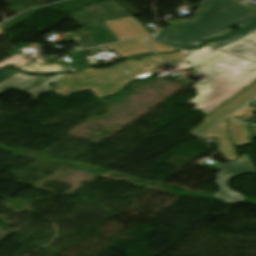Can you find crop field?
I'll use <instances>...</instances> for the list:
<instances>
[{
	"label": "crop field",
	"instance_id": "3",
	"mask_svg": "<svg viewBox=\"0 0 256 256\" xmlns=\"http://www.w3.org/2000/svg\"><path fill=\"white\" fill-rule=\"evenodd\" d=\"M140 60L139 62L125 60L106 69L89 68L81 72L67 74L53 92L64 97L86 90H90L97 98L115 95L131 81L155 75L152 69L165 61L157 55ZM146 65L150 68H146ZM125 70H128L129 73L123 72Z\"/></svg>",
	"mask_w": 256,
	"mask_h": 256
},
{
	"label": "crop field",
	"instance_id": "17",
	"mask_svg": "<svg viewBox=\"0 0 256 256\" xmlns=\"http://www.w3.org/2000/svg\"><path fill=\"white\" fill-rule=\"evenodd\" d=\"M163 57H166V58H170L172 60H175L177 62L181 61L182 59L186 58L188 55L186 54H183L181 52H176L174 54H167V55H163V54H159Z\"/></svg>",
	"mask_w": 256,
	"mask_h": 256
},
{
	"label": "crop field",
	"instance_id": "20",
	"mask_svg": "<svg viewBox=\"0 0 256 256\" xmlns=\"http://www.w3.org/2000/svg\"><path fill=\"white\" fill-rule=\"evenodd\" d=\"M3 33H4L3 30L0 28V35H3Z\"/></svg>",
	"mask_w": 256,
	"mask_h": 256
},
{
	"label": "crop field",
	"instance_id": "18",
	"mask_svg": "<svg viewBox=\"0 0 256 256\" xmlns=\"http://www.w3.org/2000/svg\"><path fill=\"white\" fill-rule=\"evenodd\" d=\"M16 72L17 71H12V70H0V81L4 80L5 78L11 76Z\"/></svg>",
	"mask_w": 256,
	"mask_h": 256
},
{
	"label": "crop field",
	"instance_id": "7",
	"mask_svg": "<svg viewBox=\"0 0 256 256\" xmlns=\"http://www.w3.org/2000/svg\"><path fill=\"white\" fill-rule=\"evenodd\" d=\"M62 75L63 74H58L54 77H41L39 80L35 81L39 77H34L18 72L11 77L5 79L4 81L0 82V93L10 88L25 91L26 89L36 85L37 83L49 78L48 80L38 84L37 86L25 91L33 94L32 98L37 99V97L40 96L42 93L51 89V87L47 84L48 82H56L60 79Z\"/></svg>",
	"mask_w": 256,
	"mask_h": 256
},
{
	"label": "crop field",
	"instance_id": "2",
	"mask_svg": "<svg viewBox=\"0 0 256 256\" xmlns=\"http://www.w3.org/2000/svg\"><path fill=\"white\" fill-rule=\"evenodd\" d=\"M190 68L209 75L192 86L199 95L188 102L204 113L202 116L256 81V63L221 51Z\"/></svg>",
	"mask_w": 256,
	"mask_h": 256
},
{
	"label": "crop field",
	"instance_id": "13",
	"mask_svg": "<svg viewBox=\"0 0 256 256\" xmlns=\"http://www.w3.org/2000/svg\"><path fill=\"white\" fill-rule=\"evenodd\" d=\"M253 32H256V25L254 26H251V27H248V28H245V30L242 32V31H238V32H235V33H232V34H229L217 41H214V42H210L208 43L207 45L208 46H212V47H215L217 49H220L240 38H243Z\"/></svg>",
	"mask_w": 256,
	"mask_h": 256
},
{
	"label": "crop field",
	"instance_id": "19",
	"mask_svg": "<svg viewBox=\"0 0 256 256\" xmlns=\"http://www.w3.org/2000/svg\"><path fill=\"white\" fill-rule=\"evenodd\" d=\"M196 51H197V49H191V50H183V51H181V52L190 55V54H192V53H194V52H196Z\"/></svg>",
	"mask_w": 256,
	"mask_h": 256
},
{
	"label": "crop field",
	"instance_id": "12",
	"mask_svg": "<svg viewBox=\"0 0 256 256\" xmlns=\"http://www.w3.org/2000/svg\"><path fill=\"white\" fill-rule=\"evenodd\" d=\"M228 127L231 139L236 146L250 144L248 125L236 119L230 118L228 120Z\"/></svg>",
	"mask_w": 256,
	"mask_h": 256
},
{
	"label": "crop field",
	"instance_id": "14",
	"mask_svg": "<svg viewBox=\"0 0 256 256\" xmlns=\"http://www.w3.org/2000/svg\"><path fill=\"white\" fill-rule=\"evenodd\" d=\"M28 67H23L19 70L21 71H25V72H33L36 73L38 75H46L50 72H60L63 71L62 67L60 65H48V66H40L37 63L33 62L29 65H27ZM58 67V68H56Z\"/></svg>",
	"mask_w": 256,
	"mask_h": 256
},
{
	"label": "crop field",
	"instance_id": "6",
	"mask_svg": "<svg viewBox=\"0 0 256 256\" xmlns=\"http://www.w3.org/2000/svg\"><path fill=\"white\" fill-rule=\"evenodd\" d=\"M256 97V82L223 103L221 106L204 116V120L187 134L198 136L240 108L242 105Z\"/></svg>",
	"mask_w": 256,
	"mask_h": 256
},
{
	"label": "crop field",
	"instance_id": "15",
	"mask_svg": "<svg viewBox=\"0 0 256 256\" xmlns=\"http://www.w3.org/2000/svg\"><path fill=\"white\" fill-rule=\"evenodd\" d=\"M211 48L212 47L205 46L179 63L182 64L183 66H189L193 64L195 61H197L199 58L211 53L209 51Z\"/></svg>",
	"mask_w": 256,
	"mask_h": 256
},
{
	"label": "crop field",
	"instance_id": "16",
	"mask_svg": "<svg viewBox=\"0 0 256 256\" xmlns=\"http://www.w3.org/2000/svg\"><path fill=\"white\" fill-rule=\"evenodd\" d=\"M148 43L150 45V47L155 51V52H167V51H172L175 50L155 39L150 38L148 40ZM176 51V50H175ZM173 52V51H172Z\"/></svg>",
	"mask_w": 256,
	"mask_h": 256
},
{
	"label": "crop field",
	"instance_id": "4",
	"mask_svg": "<svg viewBox=\"0 0 256 256\" xmlns=\"http://www.w3.org/2000/svg\"><path fill=\"white\" fill-rule=\"evenodd\" d=\"M129 16L131 15L113 0L88 6L69 17L83 27L82 31L72 37L80 49L118 42L117 37L102 21Z\"/></svg>",
	"mask_w": 256,
	"mask_h": 256
},
{
	"label": "crop field",
	"instance_id": "9",
	"mask_svg": "<svg viewBox=\"0 0 256 256\" xmlns=\"http://www.w3.org/2000/svg\"><path fill=\"white\" fill-rule=\"evenodd\" d=\"M213 136H216L221 141L218 146V153L224 155L231 162L238 158L234 146L228 138L225 121L205 135L207 138Z\"/></svg>",
	"mask_w": 256,
	"mask_h": 256
},
{
	"label": "crop field",
	"instance_id": "1",
	"mask_svg": "<svg viewBox=\"0 0 256 256\" xmlns=\"http://www.w3.org/2000/svg\"><path fill=\"white\" fill-rule=\"evenodd\" d=\"M187 21L164 27L153 38L175 48L199 45L223 35L236 24L243 27L256 20V11L236 0H205L200 10Z\"/></svg>",
	"mask_w": 256,
	"mask_h": 256
},
{
	"label": "crop field",
	"instance_id": "8",
	"mask_svg": "<svg viewBox=\"0 0 256 256\" xmlns=\"http://www.w3.org/2000/svg\"><path fill=\"white\" fill-rule=\"evenodd\" d=\"M120 41L151 35L134 17L104 22Z\"/></svg>",
	"mask_w": 256,
	"mask_h": 256
},
{
	"label": "crop field",
	"instance_id": "5",
	"mask_svg": "<svg viewBox=\"0 0 256 256\" xmlns=\"http://www.w3.org/2000/svg\"><path fill=\"white\" fill-rule=\"evenodd\" d=\"M251 173H256V168L254 167L246 153L217 172V179L215 181L221 191L215 194V197L229 203L243 201L246 198L235 191L227 189V183L231 178L237 175Z\"/></svg>",
	"mask_w": 256,
	"mask_h": 256
},
{
	"label": "crop field",
	"instance_id": "10",
	"mask_svg": "<svg viewBox=\"0 0 256 256\" xmlns=\"http://www.w3.org/2000/svg\"><path fill=\"white\" fill-rule=\"evenodd\" d=\"M222 51L233 53L241 57L256 61V34L235 45L224 48Z\"/></svg>",
	"mask_w": 256,
	"mask_h": 256
},
{
	"label": "crop field",
	"instance_id": "11",
	"mask_svg": "<svg viewBox=\"0 0 256 256\" xmlns=\"http://www.w3.org/2000/svg\"><path fill=\"white\" fill-rule=\"evenodd\" d=\"M107 46L122 57L150 51L148 47L145 45V39L112 44Z\"/></svg>",
	"mask_w": 256,
	"mask_h": 256
}]
</instances>
